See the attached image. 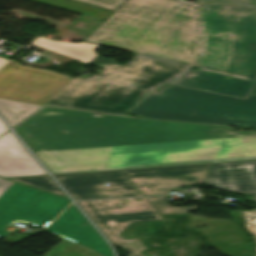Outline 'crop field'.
Returning <instances> with one entry per match:
<instances>
[{"mask_svg":"<svg viewBox=\"0 0 256 256\" xmlns=\"http://www.w3.org/2000/svg\"><path fill=\"white\" fill-rule=\"evenodd\" d=\"M43 107L16 128L52 174L256 159V132Z\"/></svg>","mask_w":256,"mask_h":256,"instance_id":"1","label":"crop field"},{"mask_svg":"<svg viewBox=\"0 0 256 256\" xmlns=\"http://www.w3.org/2000/svg\"><path fill=\"white\" fill-rule=\"evenodd\" d=\"M115 13L85 41L248 79L256 0H76Z\"/></svg>","mask_w":256,"mask_h":256,"instance_id":"2","label":"crop field"},{"mask_svg":"<svg viewBox=\"0 0 256 256\" xmlns=\"http://www.w3.org/2000/svg\"><path fill=\"white\" fill-rule=\"evenodd\" d=\"M89 64L97 75L72 79L46 104L125 115L147 93L177 77L173 84L246 98L252 80L137 55L124 64L97 55Z\"/></svg>","mask_w":256,"mask_h":256,"instance_id":"3","label":"crop field"},{"mask_svg":"<svg viewBox=\"0 0 256 256\" xmlns=\"http://www.w3.org/2000/svg\"><path fill=\"white\" fill-rule=\"evenodd\" d=\"M130 114L143 118L256 128V96L238 100L168 84Z\"/></svg>","mask_w":256,"mask_h":256,"instance_id":"4","label":"crop field"},{"mask_svg":"<svg viewBox=\"0 0 256 256\" xmlns=\"http://www.w3.org/2000/svg\"><path fill=\"white\" fill-rule=\"evenodd\" d=\"M89 217L106 234L115 246L129 251L127 256H144L145 250L137 238L123 240L119 233L131 222L161 220L159 214L145 198L78 202Z\"/></svg>","mask_w":256,"mask_h":256,"instance_id":"5","label":"crop field"},{"mask_svg":"<svg viewBox=\"0 0 256 256\" xmlns=\"http://www.w3.org/2000/svg\"><path fill=\"white\" fill-rule=\"evenodd\" d=\"M70 203L66 198L15 182L0 195V233L14 221L44 228Z\"/></svg>","mask_w":256,"mask_h":256,"instance_id":"6","label":"crop field"},{"mask_svg":"<svg viewBox=\"0 0 256 256\" xmlns=\"http://www.w3.org/2000/svg\"><path fill=\"white\" fill-rule=\"evenodd\" d=\"M70 79L9 62L0 70V98L43 105Z\"/></svg>","mask_w":256,"mask_h":256,"instance_id":"7","label":"crop field"},{"mask_svg":"<svg viewBox=\"0 0 256 256\" xmlns=\"http://www.w3.org/2000/svg\"><path fill=\"white\" fill-rule=\"evenodd\" d=\"M211 164L122 171L143 196L168 194L191 184H204Z\"/></svg>","mask_w":256,"mask_h":256,"instance_id":"8","label":"crop field"},{"mask_svg":"<svg viewBox=\"0 0 256 256\" xmlns=\"http://www.w3.org/2000/svg\"><path fill=\"white\" fill-rule=\"evenodd\" d=\"M55 177L76 200L142 196L121 171L66 174ZM103 183H109V186H103Z\"/></svg>","mask_w":256,"mask_h":256,"instance_id":"9","label":"crop field"},{"mask_svg":"<svg viewBox=\"0 0 256 256\" xmlns=\"http://www.w3.org/2000/svg\"><path fill=\"white\" fill-rule=\"evenodd\" d=\"M83 223L86 225L83 226ZM45 230L76 243H81L102 256H112L107 243L73 204Z\"/></svg>","mask_w":256,"mask_h":256,"instance_id":"10","label":"crop field"},{"mask_svg":"<svg viewBox=\"0 0 256 256\" xmlns=\"http://www.w3.org/2000/svg\"><path fill=\"white\" fill-rule=\"evenodd\" d=\"M205 183L219 190L253 195L256 202V161L212 164Z\"/></svg>","mask_w":256,"mask_h":256,"instance_id":"11","label":"crop field"},{"mask_svg":"<svg viewBox=\"0 0 256 256\" xmlns=\"http://www.w3.org/2000/svg\"><path fill=\"white\" fill-rule=\"evenodd\" d=\"M38 164L11 131L0 137V176L46 174Z\"/></svg>","mask_w":256,"mask_h":256,"instance_id":"12","label":"crop field"},{"mask_svg":"<svg viewBox=\"0 0 256 256\" xmlns=\"http://www.w3.org/2000/svg\"><path fill=\"white\" fill-rule=\"evenodd\" d=\"M31 44L86 63L97 55L93 51L99 47V45L86 42L72 44L60 41H51L42 37H38Z\"/></svg>","mask_w":256,"mask_h":256,"instance_id":"13","label":"crop field"},{"mask_svg":"<svg viewBox=\"0 0 256 256\" xmlns=\"http://www.w3.org/2000/svg\"><path fill=\"white\" fill-rule=\"evenodd\" d=\"M37 108L38 106L0 100V113L12 126Z\"/></svg>","mask_w":256,"mask_h":256,"instance_id":"14","label":"crop field"},{"mask_svg":"<svg viewBox=\"0 0 256 256\" xmlns=\"http://www.w3.org/2000/svg\"><path fill=\"white\" fill-rule=\"evenodd\" d=\"M10 180H14L26 185H30L59 196H63V197L67 196V195L65 196V194L58 188V186L51 180L49 176L12 178Z\"/></svg>","mask_w":256,"mask_h":256,"instance_id":"15","label":"crop field"},{"mask_svg":"<svg viewBox=\"0 0 256 256\" xmlns=\"http://www.w3.org/2000/svg\"><path fill=\"white\" fill-rule=\"evenodd\" d=\"M146 199L157 210L159 214L186 213L197 209V206L172 207L170 204L166 202L164 196L148 197Z\"/></svg>","mask_w":256,"mask_h":256,"instance_id":"16","label":"crop field"},{"mask_svg":"<svg viewBox=\"0 0 256 256\" xmlns=\"http://www.w3.org/2000/svg\"><path fill=\"white\" fill-rule=\"evenodd\" d=\"M243 223L245 224L246 231L253 235L256 243V210L241 211ZM256 249V247H255Z\"/></svg>","mask_w":256,"mask_h":256,"instance_id":"17","label":"crop field"},{"mask_svg":"<svg viewBox=\"0 0 256 256\" xmlns=\"http://www.w3.org/2000/svg\"><path fill=\"white\" fill-rule=\"evenodd\" d=\"M13 182L4 180L0 178V194L5 191L10 185H12ZM4 193V192H3Z\"/></svg>","mask_w":256,"mask_h":256,"instance_id":"18","label":"crop field"},{"mask_svg":"<svg viewBox=\"0 0 256 256\" xmlns=\"http://www.w3.org/2000/svg\"><path fill=\"white\" fill-rule=\"evenodd\" d=\"M8 129H7V127H6V125L2 122V120L0 119V135L2 134V133H4L5 131H7Z\"/></svg>","mask_w":256,"mask_h":256,"instance_id":"19","label":"crop field"},{"mask_svg":"<svg viewBox=\"0 0 256 256\" xmlns=\"http://www.w3.org/2000/svg\"><path fill=\"white\" fill-rule=\"evenodd\" d=\"M250 94H256V81L254 83V86H253L252 91H251Z\"/></svg>","mask_w":256,"mask_h":256,"instance_id":"20","label":"crop field"},{"mask_svg":"<svg viewBox=\"0 0 256 256\" xmlns=\"http://www.w3.org/2000/svg\"><path fill=\"white\" fill-rule=\"evenodd\" d=\"M5 62H7V59L0 58V66H2Z\"/></svg>","mask_w":256,"mask_h":256,"instance_id":"21","label":"crop field"}]
</instances>
